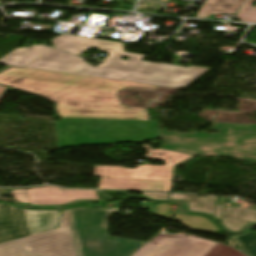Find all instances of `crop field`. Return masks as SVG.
Listing matches in <instances>:
<instances>
[{
  "instance_id": "dd49c442",
  "label": "crop field",
  "mask_w": 256,
  "mask_h": 256,
  "mask_svg": "<svg viewBox=\"0 0 256 256\" xmlns=\"http://www.w3.org/2000/svg\"><path fill=\"white\" fill-rule=\"evenodd\" d=\"M60 210H30L0 203V242L53 229Z\"/></svg>"
},
{
  "instance_id": "8a807250",
  "label": "crop field",
  "mask_w": 256,
  "mask_h": 256,
  "mask_svg": "<svg viewBox=\"0 0 256 256\" xmlns=\"http://www.w3.org/2000/svg\"><path fill=\"white\" fill-rule=\"evenodd\" d=\"M0 83L54 102L59 117L96 119L148 120L145 108L120 105L116 92L123 88H157L120 80L18 67L1 72Z\"/></svg>"
},
{
  "instance_id": "92a150f3",
  "label": "crop field",
  "mask_w": 256,
  "mask_h": 256,
  "mask_svg": "<svg viewBox=\"0 0 256 256\" xmlns=\"http://www.w3.org/2000/svg\"><path fill=\"white\" fill-rule=\"evenodd\" d=\"M5 88H3V87H0V99L2 98V96H3V94H4V92H5Z\"/></svg>"
},
{
  "instance_id": "d9b57169",
  "label": "crop field",
  "mask_w": 256,
  "mask_h": 256,
  "mask_svg": "<svg viewBox=\"0 0 256 256\" xmlns=\"http://www.w3.org/2000/svg\"><path fill=\"white\" fill-rule=\"evenodd\" d=\"M255 0H245L235 17L240 21L256 23V8L251 7Z\"/></svg>"
},
{
  "instance_id": "22f410ed",
  "label": "crop field",
  "mask_w": 256,
  "mask_h": 256,
  "mask_svg": "<svg viewBox=\"0 0 256 256\" xmlns=\"http://www.w3.org/2000/svg\"><path fill=\"white\" fill-rule=\"evenodd\" d=\"M243 0H205L196 17L208 18L210 14H235Z\"/></svg>"
},
{
  "instance_id": "cbeb9de0",
  "label": "crop field",
  "mask_w": 256,
  "mask_h": 256,
  "mask_svg": "<svg viewBox=\"0 0 256 256\" xmlns=\"http://www.w3.org/2000/svg\"><path fill=\"white\" fill-rule=\"evenodd\" d=\"M217 242L197 237L189 240L174 256H205Z\"/></svg>"
},
{
  "instance_id": "f4fd0767",
  "label": "crop field",
  "mask_w": 256,
  "mask_h": 256,
  "mask_svg": "<svg viewBox=\"0 0 256 256\" xmlns=\"http://www.w3.org/2000/svg\"><path fill=\"white\" fill-rule=\"evenodd\" d=\"M55 125L60 148L146 142L158 138L155 121L61 118Z\"/></svg>"
},
{
  "instance_id": "bc2a9ffb",
  "label": "crop field",
  "mask_w": 256,
  "mask_h": 256,
  "mask_svg": "<svg viewBox=\"0 0 256 256\" xmlns=\"http://www.w3.org/2000/svg\"><path fill=\"white\" fill-rule=\"evenodd\" d=\"M164 237L181 238V239H194L192 237H182V236L157 234L151 241L147 242L146 244H158Z\"/></svg>"
},
{
  "instance_id": "4a817a6b",
  "label": "crop field",
  "mask_w": 256,
  "mask_h": 256,
  "mask_svg": "<svg viewBox=\"0 0 256 256\" xmlns=\"http://www.w3.org/2000/svg\"><path fill=\"white\" fill-rule=\"evenodd\" d=\"M142 195L153 200H168V194L164 193L143 192Z\"/></svg>"
},
{
  "instance_id": "ac0d7876",
  "label": "crop field",
  "mask_w": 256,
  "mask_h": 256,
  "mask_svg": "<svg viewBox=\"0 0 256 256\" xmlns=\"http://www.w3.org/2000/svg\"><path fill=\"white\" fill-rule=\"evenodd\" d=\"M54 47L65 51L81 54L90 47L106 51L109 55L96 68L56 49L32 62L26 67L52 70L56 72L113 78L137 83L162 85L184 89L205 72L208 68H189L153 64L141 61L144 55L124 52L123 43L89 39L62 34L51 40ZM122 56L129 57L122 61Z\"/></svg>"
},
{
  "instance_id": "d8731c3e",
  "label": "crop field",
  "mask_w": 256,
  "mask_h": 256,
  "mask_svg": "<svg viewBox=\"0 0 256 256\" xmlns=\"http://www.w3.org/2000/svg\"><path fill=\"white\" fill-rule=\"evenodd\" d=\"M171 199L181 200L184 203L186 200L190 201L191 203L187 204L189 211L210 214L233 232L240 231L248 224L256 222V210L215 205L217 196L202 198L197 195L171 194Z\"/></svg>"
},
{
  "instance_id": "412701ff",
  "label": "crop field",
  "mask_w": 256,
  "mask_h": 256,
  "mask_svg": "<svg viewBox=\"0 0 256 256\" xmlns=\"http://www.w3.org/2000/svg\"><path fill=\"white\" fill-rule=\"evenodd\" d=\"M219 135L160 130V148L196 156H227L256 164V125L213 123Z\"/></svg>"
},
{
  "instance_id": "34b2d1b8",
  "label": "crop field",
  "mask_w": 256,
  "mask_h": 256,
  "mask_svg": "<svg viewBox=\"0 0 256 256\" xmlns=\"http://www.w3.org/2000/svg\"><path fill=\"white\" fill-rule=\"evenodd\" d=\"M116 210H64L58 229L0 243V256H129L145 242L107 235L106 218Z\"/></svg>"
},
{
  "instance_id": "e52e79f7",
  "label": "crop field",
  "mask_w": 256,
  "mask_h": 256,
  "mask_svg": "<svg viewBox=\"0 0 256 256\" xmlns=\"http://www.w3.org/2000/svg\"><path fill=\"white\" fill-rule=\"evenodd\" d=\"M142 147L148 150L145 158L165 161V166L140 165L136 169H127L121 166H96L93 176L172 181L173 166L191 157V155L162 149L154 150L148 145Z\"/></svg>"
},
{
  "instance_id": "d1516ede",
  "label": "crop field",
  "mask_w": 256,
  "mask_h": 256,
  "mask_svg": "<svg viewBox=\"0 0 256 256\" xmlns=\"http://www.w3.org/2000/svg\"><path fill=\"white\" fill-rule=\"evenodd\" d=\"M187 241L164 238L158 245H142L132 256H173Z\"/></svg>"
},
{
  "instance_id": "3316defc",
  "label": "crop field",
  "mask_w": 256,
  "mask_h": 256,
  "mask_svg": "<svg viewBox=\"0 0 256 256\" xmlns=\"http://www.w3.org/2000/svg\"><path fill=\"white\" fill-rule=\"evenodd\" d=\"M172 182L136 179L101 178L98 189L156 190L170 192Z\"/></svg>"
},
{
  "instance_id": "214f88e0",
  "label": "crop field",
  "mask_w": 256,
  "mask_h": 256,
  "mask_svg": "<svg viewBox=\"0 0 256 256\" xmlns=\"http://www.w3.org/2000/svg\"><path fill=\"white\" fill-rule=\"evenodd\" d=\"M11 192H12L13 198L17 201H25L28 199L25 190H16Z\"/></svg>"
},
{
  "instance_id": "dafd665d",
  "label": "crop field",
  "mask_w": 256,
  "mask_h": 256,
  "mask_svg": "<svg viewBox=\"0 0 256 256\" xmlns=\"http://www.w3.org/2000/svg\"><path fill=\"white\" fill-rule=\"evenodd\" d=\"M8 68H10V66H6V67L0 69V72L3 71V70H5V69H8Z\"/></svg>"
},
{
  "instance_id": "28ad6ade",
  "label": "crop field",
  "mask_w": 256,
  "mask_h": 256,
  "mask_svg": "<svg viewBox=\"0 0 256 256\" xmlns=\"http://www.w3.org/2000/svg\"><path fill=\"white\" fill-rule=\"evenodd\" d=\"M52 49L44 45H33L29 48L17 49L2 58L0 64L24 67Z\"/></svg>"
},
{
  "instance_id": "5a996713",
  "label": "crop field",
  "mask_w": 256,
  "mask_h": 256,
  "mask_svg": "<svg viewBox=\"0 0 256 256\" xmlns=\"http://www.w3.org/2000/svg\"><path fill=\"white\" fill-rule=\"evenodd\" d=\"M30 205L61 206L74 200L96 199V191L65 190L55 186L27 189Z\"/></svg>"
},
{
  "instance_id": "733c2abd",
  "label": "crop field",
  "mask_w": 256,
  "mask_h": 256,
  "mask_svg": "<svg viewBox=\"0 0 256 256\" xmlns=\"http://www.w3.org/2000/svg\"><path fill=\"white\" fill-rule=\"evenodd\" d=\"M206 256H244L218 243Z\"/></svg>"
},
{
  "instance_id": "5142ce71",
  "label": "crop field",
  "mask_w": 256,
  "mask_h": 256,
  "mask_svg": "<svg viewBox=\"0 0 256 256\" xmlns=\"http://www.w3.org/2000/svg\"><path fill=\"white\" fill-rule=\"evenodd\" d=\"M233 240L241 247L244 253L256 256V232H251Z\"/></svg>"
}]
</instances>
